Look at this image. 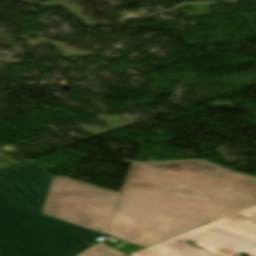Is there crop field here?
Listing matches in <instances>:
<instances>
[{
	"instance_id": "2",
	"label": "crop field",
	"mask_w": 256,
	"mask_h": 256,
	"mask_svg": "<svg viewBox=\"0 0 256 256\" xmlns=\"http://www.w3.org/2000/svg\"><path fill=\"white\" fill-rule=\"evenodd\" d=\"M51 178L31 159L0 169V256H75L102 235L40 214Z\"/></svg>"
},
{
	"instance_id": "4",
	"label": "crop field",
	"mask_w": 256,
	"mask_h": 256,
	"mask_svg": "<svg viewBox=\"0 0 256 256\" xmlns=\"http://www.w3.org/2000/svg\"><path fill=\"white\" fill-rule=\"evenodd\" d=\"M170 239L188 240L219 256H256V205Z\"/></svg>"
},
{
	"instance_id": "1",
	"label": "crop field",
	"mask_w": 256,
	"mask_h": 256,
	"mask_svg": "<svg viewBox=\"0 0 256 256\" xmlns=\"http://www.w3.org/2000/svg\"><path fill=\"white\" fill-rule=\"evenodd\" d=\"M254 204L256 178L203 161L135 163L106 234L146 247Z\"/></svg>"
},
{
	"instance_id": "5",
	"label": "crop field",
	"mask_w": 256,
	"mask_h": 256,
	"mask_svg": "<svg viewBox=\"0 0 256 256\" xmlns=\"http://www.w3.org/2000/svg\"><path fill=\"white\" fill-rule=\"evenodd\" d=\"M128 256H215L196 248L167 239Z\"/></svg>"
},
{
	"instance_id": "6",
	"label": "crop field",
	"mask_w": 256,
	"mask_h": 256,
	"mask_svg": "<svg viewBox=\"0 0 256 256\" xmlns=\"http://www.w3.org/2000/svg\"><path fill=\"white\" fill-rule=\"evenodd\" d=\"M80 256H123L113 250L105 248L103 246H95Z\"/></svg>"
},
{
	"instance_id": "3",
	"label": "crop field",
	"mask_w": 256,
	"mask_h": 256,
	"mask_svg": "<svg viewBox=\"0 0 256 256\" xmlns=\"http://www.w3.org/2000/svg\"><path fill=\"white\" fill-rule=\"evenodd\" d=\"M121 195L54 176L42 214L105 234Z\"/></svg>"
}]
</instances>
